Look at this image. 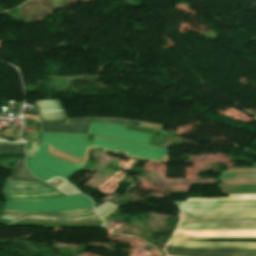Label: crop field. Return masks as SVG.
Instances as JSON below:
<instances>
[{"label":"crop field","instance_id":"8a807250","mask_svg":"<svg viewBox=\"0 0 256 256\" xmlns=\"http://www.w3.org/2000/svg\"><path fill=\"white\" fill-rule=\"evenodd\" d=\"M181 216L176 230L256 229V200L176 202Z\"/></svg>","mask_w":256,"mask_h":256},{"label":"crop field","instance_id":"ac0d7876","mask_svg":"<svg viewBox=\"0 0 256 256\" xmlns=\"http://www.w3.org/2000/svg\"><path fill=\"white\" fill-rule=\"evenodd\" d=\"M89 122L66 125L63 121L42 122L41 131L64 132V133H87ZM126 126L117 124H107L99 122H90L89 132L122 139H128L139 142H148L150 134L125 130Z\"/></svg>","mask_w":256,"mask_h":256},{"label":"crop field","instance_id":"34b2d1b8","mask_svg":"<svg viewBox=\"0 0 256 256\" xmlns=\"http://www.w3.org/2000/svg\"><path fill=\"white\" fill-rule=\"evenodd\" d=\"M86 207H92V201L83 195H74L47 201H7L5 209L30 212H49L68 211Z\"/></svg>","mask_w":256,"mask_h":256},{"label":"crop field","instance_id":"412701ff","mask_svg":"<svg viewBox=\"0 0 256 256\" xmlns=\"http://www.w3.org/2000/svg\"><path fill=\"white\" fill-rule=\"evenodd\" d=\"M6 200H47L66 196L46 183L7 180L4 188Z\"/></svg>","mask_w":256,"mask_h":256},{"label":"crop field","instance_id":"f4fd0767","mask_svg":"<svg viewBox=\"0 0 256 256\" xmlns=\"http://www.w3.org/2000/svg\"><path fill=\"white\" fill-rule=\"evenodd\" d=\"M41 142L45 143H66V144H76V145H84V146H98L102 148L112 149V150H124L130 155L152 158L161 160L163 155H168L169 153L166 152H158V151H151L139 148L128 147L124 145L109 143L105 141H100L94 139L92 142H87L83 140L77 139H70V138H61V137H49V136H42Z\"/></svg>","mask_w":256,"mask_h":256},{"label":"crop field","instance_id":"dd49c442","mask_svg":"<svg viewBox=\"0 0 256 256\" xmlns=\"http://www.w3.org/2000/svg\"><path fill=\"white\" fill-rule=\"evenodd\" d=\"M167 255L176 256H256V249L183 248L166 246Z\"/></svg>","mask_w":256,"mask_h":256},{"label":"crop field","instance_id":"e52e79f7","mask_svg":"<svg viewBox=\"0 0 256 256\" xmlns=\"http://www.w3.org/2000/svg\"><path fill=\"white\" fill-rule=\"evenodd\" d=\"M48 146L41 144L37 154L26 161L31 173L38 178L72 164L50 156L47 151Z\"/></svg>","mask_w":256,"mask_h":256},{"label":"crop field","instance_id":"d8731c3e","mask_svg":"<svg viewBox=\"0 0 256 256\" xmlns=\"http://www.w3.org/2000/svg\"><path fill=\"white\" fill-rule=\"evenodd\" d=\"M35 105L40 120H60L68 118L60 100L36 101Z\"/></svg>","mask_w":256,"mask_h":256},{"label":"crop field","instance_id":"5a996713","mask_svg":"<svg viewBox=\"0 0 256 256\" xmlns=\"http://www.w3.org/2000/svg\"><path fill=\"white\" fill-rule=\"evenodd\" d=\"M93 208H86L77 211L70 212H56V213H29V212H17V211H7L4 210L1 217L2 219L16 221L25 216H33V215H52V216H72V215H83L91 212Z\"/></svg>","mask_w":256,"mask_h":256},{"label":"crop field","instance_id":"3316defc","mask_svg":"<svg viewBox=\"0 0 256 256\" xmlns=\"http://www.w3.org/2000/svg\"><path fill=\"white\" fill-rule=\"evenodd\" d=\"M170 241V240H169ZM171 241L179 242H255L256 238H195V237H172Z\"/></svg>","mask_w":256,"mask_h":256},{"label":"crop field","instance_id":"28ad6ade","mask_svg":"<svg viewBox=\"0 0 256 256\" xmlns=\"http://www.w3.org/2000/svg\"><path fill=\"white\" fill-rule=\"evenodd\" d=\"M168 245L183 247H248L256 248V244L249 243H178L169 242Z\"/></svg>","mask_w":256,"mask_h":256},{"label":"crop field","instance_id":"d1516ede","mask_svg":"<svg viewBox=\"0 0 256 256\" xmlns=\"http://www.w3.org/2000/svg\"><path fill=\"white\" fill-rule=\"evenodd\" d=\"M9 179L40 182L28 172L24 165V160H19Z\"/></svg>","mask_w":256,"mask_h":256},{"label":"crop field","instance_id":"22f410ed","mask_svg":"<svg viewBox=\"0 0 256 256\" xmlns=\"http://www.w3.org/2000/svg\"><path fill=\"white\" fill-rule=\"evenodd\" d=\"M84 121H100V122L117 123V124H129V125H136V126H139L141 123L137 121L120 120V119H104V118H84V119L66 120L67 124L84 122Z\"/></svg>","mask_w":256,"mask_h":256},{"label":"crop field","instance_id":"cbeb9de0","mask_svg":"<svg viewBox=\"0 0 256 256\" xmlns=\"http://www.w3.org/2000/svg\"><path fill=\"white\" fill-rule=\"evenodd\" d=\"M83 166H80V165H75V164H72L66 168H63L59 171H56L50 175H47L43 178H41L42 180L46 181L56 175L60 176V177H63V178H69L71 177L73 174H75L79 169H81Z\"/></svg>","mask_w":256,"mask_h":256},{"label":"crop field","instance_id":"5142ce71","mask_svg":"<svg viewBox=\"0 0 256 256\" xmlns=\"http://www.w3.org/2000/svg\"><path fill=\"white\" fill-rule=\"evenodd\" d=\"M52 146L65 151L71 155L82 157L86 148L84 146H76V145H63V144H51Z\"/></svg>","mask_w":256,"mask_h":256},{"label":"crop field","instance_id":"d9b57169","mask_svg":"<svg viewBox=\"0 0 256 256\" xmlns=\"http://www.w3.org/2000/svg\"><path fill=\"white\" fill-rule=\"evenodd\" d=\"M95 138L101 139V140H105V141H109V142L120 143V144L135 146V147H140V148H146V149H152V150L169 152L167 148L153 147V146H148V145H143V144H138V143H133V142H128V141H122V140H116V139L105 138V137H98V136H95Z\"/></svg>","mask_w":256,"mask_h":256},{"label":"crop field","instance_id":"733c2abd","mask_svg":"<svg viewBox=\"0 0 256 256\" xmlns=\"http://www.w3.org/2000/svg\"><path fill=\"white\" fill-rule=\"evenodd\" d=\"M1 154H24V145L0 143Z\"/></svg>","mask_w":256,"mask_h":256},{"label":"crop field","instance_id":"4a817a6b","mask_svg":"<svg viewBox=\"0 0 256 256\" xmlns=\"http://www.w3.org/2000/svg\"><path fill=\"white\" fill-rule=\"evenodd\" d=\"M40 144H35L26 141L25 153H26V160L34 156L38 150Z\"/></svg>","mask_w":256,"mask_h":256},{"label":"crop field","instance_id":"bc2a9ffb","mask_svg":"<svg viewBox=\"0 0 256 256\" xmlns=\"http://www.w3.org/2000/svg\"><path fill=\"white\" fill-rule=\"evenodd\" d=\"M96 218L91 219H82V220H75V221H55V220H48V219H22L20 221H48V222H60V223H80L86 221H95Z\"/></svg>","mask_w":256,"mask_h":256},{"label":"crop field","instance_id":"214f88e0","mask_svg":"<svg viewBox=\"0 0 256 256\" xmlns=\"http://www.w3.org/2000/svg\"><path fill=\"white\" fill-rule=\"evenodd\" d=\"M207 199H256V195H229V198H207ZM187 200H204V199H187Z\"/></svg>","mask_w":256,"mask_h":256},{"label":"crop field","instance_id":"92a150f3","mask_svg":"<svg viewBox=\"0 0 256 256\" xmlns=\"http://www.w3.org/2000/svg\"><path fill=\"white\" fill-rule=\"evenodd\" d=\"M42 135H49V136H62V137H70V138H77L86 140L87 135L82 134H51V133H42Z\"/></svg>","mask_w":256,"mask_h":256},{"label":"crop field","instance_id":"dafd665d","mask_svg":"<svg viewBox=\"0 0 256 256\" xmlns=\"http://www.w3.org/2000/svg\"><path fill=\"white\" fill-rule=\"evenodd\" d=\"M94 214H88V215H83V216H78V217H72V218H51V217H29V218H48V219H55V220H74V219H81V218H89L93 217Z\"/></svg>","mask_w":256,"mask_h":256},{"label":"crop field","instance_id":"00972430","mask_svg":"<svg viewBox=\"0 0 256 256\" xmlns=\"http://www.w3.org/2000/svg\"><path fill=\"white\" fill-rule=\"evenodd\" d=\"M233 168H256V166H253V167H233Z\"/></svg>","mask_w":256,"mask_h":256}]
</instances>
